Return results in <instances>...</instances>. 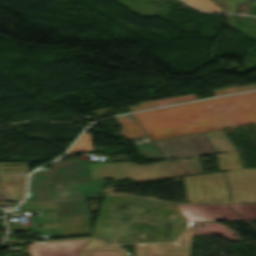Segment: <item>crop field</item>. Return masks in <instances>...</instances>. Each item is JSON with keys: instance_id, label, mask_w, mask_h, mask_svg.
Here are the masks:
<instances>
[{"instance_id": "obj_18", "label": "crop field", "mask_w": 256, "mask_h": 256, "mask_svg": "<svg viewBox=\"0 0 256 256\" xmlns=\"http://www.w3.org/2000/svg\"><path fill=\"white\" fill-rule=\"evenodd\" d=\"M227 17H228V25L229 26H235L232 15L227 14Z\"/></svg>"}, {"instance_id": "obj_19", "label": "crop field", "mask_w": 256, "mask_h": 256, "mask_svg": "<svg viewBox=\"0 0 256 256\" xmlns=\"http://www.w3.org/2000/svg\"><path fill=\"white\" fill-rule=\"evenodd\" d=\"M58 188H63V186L62 185L53 186V189H58ZM76 197H80V196H76ZM76 197H67V198H76ZM57 199H66V198H57ZM57 199H54V200H57Z\"/></svg>"}, {"instance_id": "obj_3", "label": "crop field", "mask_w": 256, "mask_h": 256, "mask_svg": "<svg viewBox=\"0 0 256 256\" xmlns=\"http://www.w3.org/2000/svg\"><path fill=\"white\" fill-rule=\"evenodd\" d=\"M91 180L86 161L54 162L49 177V184L58 185Z\"/></svg>"}, {"instance_id": "obj_6", "label": "crop field", "mask_w": 256, "mask_h": 256, "mask_svg": "<svg viewBox=\"0 0 256 256\" xmlns=\"http://www.w3.org/2000/svg\"><path fill=\"white\" fill-rule=\"evenodd\" d=\"M170 177L202 173L199 157L166 161Z\"/></svg>"}, {"instance_id": "obj_10", "label": "crop field", "mask_w": 256, "mask_h": 256, "mask_svg": "<svg viewBox=\"0 0 256 256\" xmlns=\"http://www.w3.org/2000/svg\"><path fill=\"white\" fill-rule=\"evenodd\" d=\"M245 220H256V204H227Z\"/></svg>"}, {"instance_id": "obj_14", "label": "crop field", "mask_w": 256, "mask_h": 256, "mask_svg": "<svg viewBox=\"0 0 256 256\" xmlns=\"http://www.w3.org/2000/svg\"><path fill=\"white\" fill-rule=\"evenodd\" d=\"M184 1L187 2V3L190 2L191 5L199 8V9H202V10L215 11V12H221L222 11L219 7H217L210 0H184Z\"/></svg>"}, {"instance_id": "obj_17", "label": "crop field", "mask_w": 256, "mask_h": 256, "mask_svg": "<svg viewBox=\"0 0 256 256\" xmlns=\"http://www.w3.org/2000/svg\"><path fill=\"white\" fill-rule=\"evenodd\" d=\"M254 89H256V85L244 86V87H238V88H232V89H226V90H219V91H212V92H213L214 96H219V95H223V94L248 91V90H254Z\"/></svg>"}, {"instance_id": "obj_2", "label": "crop field", "mask_w": 256, "mask_h": 256, "mask_svg": "<svg viewBox=\"0 0 256 256\" xmlns=\"http://www.w3.org/2000/svg\"><path fill=\"white\" fill-rule=\"evenodd\" d=\"M164 157L214 153L203 134L154 142Z\"/></svg>"}, {"instance_id": "obj_1", "label": "crop field", "mask_w": 256, "mask_h": 256, "mask_svg": "<svg viewBox=\"0 0 256 256\" xmlns=\"http://www.w3.org/2000/svg\"><path fill=\"white\" fill-rule=\"evenodd\" d=\"M235 103L240 111L214 113L204 104ZM151 140L256 123V92L134 113Z\"/></svg>"}, {"instance_id": "obj_8", "label": "crop field", "mask_w": 256, "mask_h": 256, "mask_svg": "<svg viewBox=\"0 0 256 256\" xmlns=\"http://www.w3.org/2000/svg\"><path fill=\"white\" fill-rule=\"evenodd\" d=\"M83 199L55 202L60 216L87 214L84 208ZM22 203L18 208H22ZM71 208V210H69Z\"/></svg>"}, {"instance_id": "obj_4", "label": "crop field", "mask_w": 256, "mask_h": 256, "mask_svg": "<svg viewBox=\"0 0 256 256\" xmlns=\"http://www.w3.org/2000/svg\"><path fill=\"white\" fill-rule=\"evenodd\" d=\"M194 220H244L226 204H190L182 205Z\"/></svg>"}, {"instance_id": "obj_7", "label": "crop field", "mask_w": 256, "mask_h": 256, "mask_svg": "<svg viewBox=\"0 0 256 256\" xmlns=\"http://www.w3.org/2000/svg\"><path fill=\"white\" fill-rule=\"evenodd\" d=\"M216 152L234 151L236 148L224 130L205 133Z\"/></svg>"}, {"instance_id": "obj_16", "label": "crop field", "mask_w": 256, "mask_h": 256, "mask_svg": "<svg viewBox=\"0 0 256 256\" xmlns=\"http://www.w3.org/2000/svg\"><path fill=\"white\" fill-rule=\"evenodd\" d=\"M212 1H214L218 6H220L225 12H233L234 13L237 3L241 2V1H246V0H212ZM249 4L254 6V5H256V2L253 4H251V3H249Z\"/></svg>"}, {"instance_id": "obj_13", "label": "crop field", "mask_w": 256, "mask_h": 256, "mask_svg": "<svg viewBox=\"0 0 256 256\" xmlns=\"http://www.w3.org/2000/svg\"><path fill=\"white\" fill-rule=\"evenodd\" d=\"M138 151L146 158H162L163 156L157 152L155 146L150 143H142L135 145Z\"/></svg>"}, {"instance_id": "obj_11", "label": "crop field", "mask_w": 256, "mask_h": 256, "mask_svg": "<svg viewBox=\"0 0 256 256\" xmlns=\"http://www.w3.org/2000/svg\"><path fill=\"white\" fill-rule=\"evenodd\" d=\"M93 150L88 130L82 135L78 142L71 148L67 154L85 152ZM66 154V155H67Z\"/></svg>"}, {"instance_id": "obj_5", "label": "crop field", "mask_w": 256, "mask_h": 256, "mask_svg": "<svg viewBox=\"0 0 256 256\" xmlns=\"http://www.w3.org/2000/svg\"><path fill=\"white\" fill-rule=\"evenodd\" d=\"M50 169H38L30 175L28 195L25 201L52 200L48 177Z\"/></svg>"}, {"instance_id": "obj_12", "label": "crop field", "mask_w": 256, "mask_h": 256, "mask_svg": "<svg viewBox=\"0 0 256 256\" xmlns=\"http://www.w3.org/2000/svg\"><path fill=\"white\" fill-rule=\"evenodd\" d=\"M78 256H131L127 251L81 250Z\"/></svg>"}, {"instance_id": "obj_20", "label": "crop field", "mask_w": 256, "mask_h": 256, "mask_svg": "<svg viewBox=\"0 0 256 256\" xmlns=\"http://www.w3.org/2000/svg\"><path fill=\"white\" fill-rule=\"evenodd\" d=\"M7 200L4 194L0 193V201Z\"/></svg>"}, {"instance_id": "obj_15", "label": "crop field", "mask_w": 256, "mask_h": 256, "mask_svg": "<svg viewBox=\"0 0 256 256\" xmlns=\"http://www.w3.org/2000/svg\"><path fill=\"white\" fill-rule=\"evenodd\" d=\"M121 132L126 138H133L145 135L140 127L137 125V123L123 125Z\"/></svg>"}, {"instance_id": "obj_9", "label": "crop field", "mask_w": 256, "mask_h": 256, "mask_svg": "<svg viewBox=\"0 0 256 256\" xmlns=\"http://www.w3.org/2000/svg\"><path fill=\"white\" fill-rule=\"evenodd\" d=\"M195 95H186V96H180L177 98H171V99H165V100H159V101H152V102H144L140 103V106H135V107H129L130 111H138L142 109H147V108H152L156 106H161V105H166V104H172V103H177V102H183V101H188V100H194Z\"/></svg>"}]
</instances>
